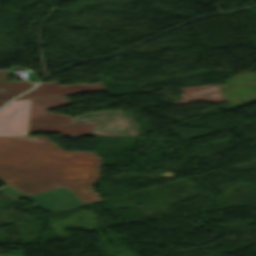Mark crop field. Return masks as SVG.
I'll return each mask as SVG.
<instances>
[{
	"label": "crop field",
	"mask_w": 256,
	"mask_h": 256,
	"mask_svg": "<svg viewBox=\"0 0 256 256\" xmlns=\"http://www.w3.org/2000/svg\"><path fill=\"white\" fill-rule=\"evenodd\" d=\"M100 168L93 152L50 151L35 137H0V179L26 195L68 187L86 204L101 200L92 187Z\"/></svg>",
	"instance_id": "obj_1"
},
{
	"label": "crop field",
	"mask_w": 256,
	"mask_h": 256,
	"mask_svg": "<svg viewBox=\"0 0 256 256\" xmlns=\"http://www.w3.org/2000/svg\"><path fill=\"white\" fill-rule=\"evenodd\" d=\"M68 104L66 96L12 102L0 110V136H28L29 125L71 124L72 117L47 112Z\"/></svg>",
	"instance_id": "obj_2"
},
{
	"label": "crop field",
	"mask_w": 256,
	"mask_h": 256,
	"mask_svg": "<svg viewBox=\"0 0 256 256\" xmlns=\"http://www.w3.org/2000/svg\"><path fill=\"white\" fill-rule=\"evenodd\" d=\"M37 206L51 210L53 212L84 205L67 188L57 189L47 193L29 197Z\"/></svg>",
	"instance_id": "obj_3"
},
{
	"label": "crop field",
	"mask_w": 256,
	"mask_h": 256,
	"mask_svg": "<svg viewBox=\"0 0 256 256\" xmlns=\"http://www.w3.org/2000/svg\"><path fill=\"white\" fill-rule=\"evenodd\" d=\"M102 90H105L102 84H97V85L75 84V85L61 86L58 84V82H52V83L40 84L32 92L24 94L17 99L102 91Z\"/></svg>",
	"instance_id": "obj_4"
},
{
	"label": "crop field",
	"mask_w": 256,
	"mask_h": 256,
	"mask_svg": "<svg viewBox=\"0 0 256 256\" xmlns=\"http://www.w3.org/2000/svg\"><path fill=\"white\" fill-rule=\"evenodd\" d=\"M6 75H10L8 70L0 71V101L9 100L34 86L27 81L7 83Z\"/></svg>",
	"instance_id": "obj_5"
},
{
	"label": "crop field",
	"mask_w": 256,
	"mask_h": 256,
	"mask_svg": "<svg viewBox=\"0 0 256 256\" xmlns=\"http://www.w3.org/2000/svg\"><path fill=\"white\" fill-rule=\"evenodd\" d=\"M95 125L97 124L30 126L29 130L36 132H59L62 135H84L89 134Z\"/></svg>",
	"instance_id": "obj_6"
},
{
	"label": "crop field",
	"mask_w": 256,
	"mask_h": 256,
	"mask_svg": "<svg viewBox=\"0 0 256 256\" xmlns=\"http://www.w3.org/2000/svg\"><path fill=\"white\" fill-rule=\"evenodd\" d=\"M0 191L4 192L6 194H9V195H11V196H13V197H15L17 199H20V198H23V197H29V196L22 195V194L14 191V190L8 188L7 186L3 187V188H0Z\"/></svg>",
	"instance_id": "obj_7"
},
{
	"label": "crop field",
	"mask_w": 256,
	"mask_h": 256,
	"mask_svg": "<svg viewBox=\"0 0 256 256\" xmlns=\"http://www.w3.org/2000/svg\"><path fill=\"white\" fill-rule=\"evenodd\" d=\"M36 142H41V143H46L50 146L51 150H61L60 148H58L57 146H55L54 144H52L51 142H49L48 140H46L43 137H36Z\"/></svg>",
	"instance_id": "obj_8"
},
{
	"label": "crop field",
	"mask_w": 256,
	"mask_h": 256,
	"mask_svg": "<svg viewBox=\"0 0 256 256\" xmlns=\"http://www.w3.org/2000/svg\"><path fill=\"white\" fill-rule=\"evenodd\" d=\"M5 102H2V103H0V106L2 105V104H4Z\"/></svg>",
	"instance_id": "obj_9"
}]
</instances>
